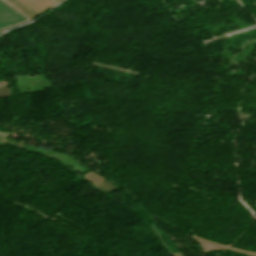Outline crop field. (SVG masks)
I'll return each mask as SVG.
<instances>
[{
  "label": "crop field",
  "instance_id": "obj_1",
  "mask_svg": "<svg viewBox=\"0 0 256 256\" xmlns=\"http://www.w3.org/2000/svg\"><path fill=\"white\" fill-rule=\"evenodd\" d=\"M30 19L60 0H6Z\"/></svg>",
  "mask_w": 256,
  "mask_h": 256
},
{
  "label": "crop field",
  "instance_id": "obj_2",
  "mask_svg": "<svg viewBox=\"0 0 256 256\" xmlns=\"http://www.w3.org/2000/svg\"><path fill=\"white\" fill-rule=\"evenodd\" d=\"M29 21L20 12L0 0V30L8 29Z\"/></svg>",
  "mask_w": 256,
  "mask_h": 256
},
{
  "label": "crop field",
  "instance_id": "obj_3",
  "mask_svg": "<svg viewBox=\"0 0 256 256\" xmlns=\"http://www.w3.org/2000/svg\"><path fill=\"white\" fill-rule=\"evenodd\" d=\"M6 135H7V134H5V133H0V138L5 139V138H6Z\"/></svg>",
  "mask_w": 256,
  "mask_h": 256
},
{
  "label": "crop field",
  "instance_id": "obj_4",
  "mask_svg": "<svg viewBox=\"0 0 256 256\" xmlns=\"http://www.w3.org/2000/svg\"><path fill=\"white\" fill-rule=\"evenodd\" d=\"M0 34H1V32H0Z\"/></svg>",
  "mask_w": 256,
  "mask_h": 256
}]
</instances>
